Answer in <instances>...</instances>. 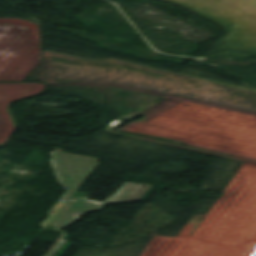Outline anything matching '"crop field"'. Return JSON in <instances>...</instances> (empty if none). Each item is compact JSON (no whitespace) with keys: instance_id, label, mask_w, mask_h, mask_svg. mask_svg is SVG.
Listing matches in <instances>:
<instances>
[{"instance_id":"crop-field-1","label":"crop field","mask_w":256,"mask_h":256,"mask_svg":"<svg viewBox=\"0 0 256 256\" xmlns=\"http://www.w3.org/2000/svg\"><path fill=\"white\" fill-rule=\"evenodd\" d=\"M50 160L57 182L69 187L60 198L67 202L100 165L96 158L64 153L61 149L51 152ZM60 199L58 201H60Z\"/></svg>"},{"instance_id":"crop-field-2","label":"crop field","mask_w":256,"mask_h":256,"mask_svg":"<svg viewBox=\"0 0 256 256\" xmlns=\"http://www.w3.org/2000/svg\"><path fill=\"white\" fill-rule=\"evenodd\" d=\"M101 203L73 197L51 225L68 226L79 219L84 213L95 211Z\"/></svg>"},{"instance_id":"crop-field-3","label":"crop field","mask_w":256,"mask_h":256,"mask_svg":"<svg viewBox=\"0 0 256 256\" xmlns=\"http://www.w3.org/2000/svg\"><path fill=\"white\" fill-rule=\"evenodd\" d=\"M151 187V185L147 184L126 182L113 197L107 198L97 210L101 211L107 203H128L141 201Z\"/></svg>"},{"instance_id":"crop-field-4","label":"crop field","mask_w":256,"mask_h":256,"mask_svg":"<svg viewBox=\"0 0 256 256\" xmlns=\"http://www.w3.org/2000/svg\"><path fill=\"white\" fill-rule=\"evenodd\" d=\"M64 204L65 203L56 202V204L53 206V208L48 213V214H50L52 211H55V214H50L48 216V218L43 222L42 225L46 226L52 220V218L58 213V211L63 207Z\"/></svg>"},{"instance_id":"crop-field-5","label":"crop field","mask_w":256,"mask_h":256,"mask_svg":"<svg viewBox=\"0 0 256 256\" xmlns=\"http://www.w3.org/2000/svg\"><path fill=\"white\" fill-rule=\"evenodd\" d=\"M64 237V234H62L59 238V240L56 241L55 247L51 250V252L47 256H54L67 241H61L60 239Z\"/></svg>"}]
</instances>
